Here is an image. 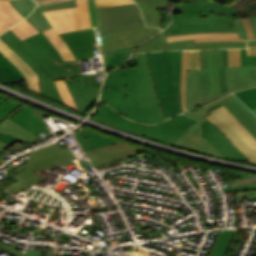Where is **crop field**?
<instances>
[{"mask_svg":"<svg viewBox=\"0 0 256 256\" xmlns=\"http://www.w3.org/2000/svg\"><path fill=\"white\" fill-rule=\"evenodd\" d=\"M104 83L100 99L121 115L149 124L165 120L152 84L147 53L138 54V68L116 69Z\"/></svg>","mask_w":256,"mask_h":256,"instance_id":"obj_1","label":"crop field"},{"mask_svg":"<svg viewBox=\"0 0 256 256\" xmlns=\"http://www.w3.org/2000/svg\"><path fill=\"white\" fill-rule=\"evenodd\" d=\"M237 11L211 0L185 2L173 8V21L165 32L166 35L237 32L232 18Z\"/></svg>","mask_w":256,"mask_h":256,"instance_id":"obj_2","label":"crop field"},{"mask_svg":"<svg viewBox=\"0 0 256 256\" xmlns=\"http://www.w3.org/2000/svg\"><path fill=\"white\" fill-rule=\"evenodd\" d=\"M148 56L153 83L167 119L182 112L180 99L182 51L154 52L148 53Z\"/></svg>","mask_w":256,"mask_h":256,"instance_id":"obj_3","label":"crop field"},{"mask_svg":"<svg viewBox=\"0 0 256 256\" xmlns=\"http://www.w3.org/2000/svg\"><path fill=\"white\" fill-rule=\"evenodd\" d=\"M0 38L18 53L40 77L42 94L64 104L54 81H51L48 75L39 67L49 63L63 61L58 51L52 46L44 34L41 32L21 41L16 34L8 30Z\"/></svg>","mask_w":256,"mask_h":256,"instance_id":"obj_4","label":"crop field"},{"mask_svg":"<svg viewBox=\"0 0 256 256\" xmlns=\"http://www.w3.org/2000/svg\"><path fill=\"white\" fill-rule=\"evenodd\" d=\"M201 71H187L186 107H202L228 95L220 94L218 67H223L222 50H200ZM210 73V75H208Z\"/></svg>","mask_w":256,"mask_h":256,"instance_id":"obj_5","label":"crop field"},{"mask_svg":"<svg viewBox=\"0 0 256 256\" xmlns=\"http://www.w3.org/2000/svg\"><path fill=\"white\" fill-rule=\"evenodd\" d=\"M80 64V61H68L41 68L50 76L51 80L64 79L66 81L80 113L84 115L97 101L102 85V82H93V75L105 76V73L98 71L97 74H82Z\"/></svg>","mask_w":256,"mask_h":256,"instance_id":"obj_6","label":"crop field"},{"mask_svg":"<svg viewBox=\"0 0 256 256\" xmlns=\"http://www.w3.org/2000/svg\"><path fill=\"white\" fill-rule=\"evenodd\" d=\"M95 119L169 145H171L191 124L195 123L191 119L179 114L159 125L150 126L139 124L121 117L107 105L99 107Z\"/></svg>","mask_w":256,"mask_h":256,"instance_id":"obj_7","label":"crop field"},{"mask_svg":"<svg viewBox=\"0 0 256 256\" xmlns=\"http://www.w3.org/2000/svg\"><path fill=\"white\" fill-rule=\"evenodd\" d=\"M205 117L215 124L226 137L256 164V139L241 125V123L222 105Z\"/></svg>","mask_w":256,"mask_h":256,"instance_id":"obj_8","label":"crop field"},{"mask_svg":"<svg viewBox=\"0 0 256 256\" xmlns=\"http://www.w3.org/2000/svg\"><path fill=\"white\" fill-rule=\"evenodd\" d=\"M99 26L97 35L145 27L136 4L97 8Z\"/></svg>","mask_w":256,"mask_h":256,"instance_id":"obj_9","label":"crop field"},{"mask_svg":"<svg viewBox=\"0 0 256 256\" xmlns=\"http://www.w3.org/2000/svg\"><path fill=\"white\" fill-rule=\"evenodd\" d=\"M78 7L44 12L57 33L90 28L87 0H77Z\"/></svg>","mask_w":256,"mask_h":256,"instance_id":"obj_10","label":"crop field"},{"mask_svg":"<svg viewBox=\"0 0 256 256\" xmlns=\"http://www.w3.org/2000/svg\"><path fill=\"white\" fill-rule=\"evenodd\" d=\"M226 75L229 93L256 86V57H247L246 49H241V66L227 67Z\"/></svg>","mask_w":256,"mask_h":256,"instance_id":"obj_11","label":"crop field"},{"mask_svg":"<svg viewBox=\"0 0 256 256\" xmlns=\"http://www.w3.org/2000/svg\"><path fill=\"white\" fill-rule=\"evenodd\" d=\"M158 28H144L108 35L97 36L100 50L137 46L142 41L156 34Z\"/></svg>","mask_w":256,"mask_h":256,"instance_id":"obj_12","label":"crop field"},{"mask_svg":"<svg viewBox=\"0 0 256 256\" xmlns=\"http://www.w3.org/2000/svg\"><path fill=\"white\" fill-rule=\"evenodd\" d=\"M29 154L33 158L28 160L29 162L25 165L19 167L22 170L28 166L36 170L66 160L76 159L69 147L62 149L57 142L34 150Z\"/></svg>","mask_w":256,"mask_h":256,"instance_id":"obj_13","label":"crop field"},{"mask_svg":"<svg viewBox=\"0 0 256 256\" xmlns=\"http://www.w3.org/2000/svg\"><path fill=\"white\" fill-rule=\"evenodd\" d=\"M60 36L76 60L92 58L94 56L93 49H98L94 29L75 31Z\"/></svg>","mask_w":256,"mask_h":256,"instance_id":"obj_14","label":"crop field"},{"mask_svg":"<svg viewBox=\"0 0 256 256\" xmlns=\"http://www.w3.org/2000/svg\"><path fill=\"white\" fill-rule=\"evenodd\" d=\"M172 145L198 153L223 158L219 151L201 136V126L197 123L191 125Z\"/></svg>","mask_w":256,"mask_h":256,"instance_id":"obj_15","label":"crop field"},{"mask_svg":"<svg viewBox=\"0 0 256 256\" xmlns=\"http://www.w3.org/2000/svg\"><path fill=\"white\" fill-rule=\"evenodd\" d=\"M146 150L133 147L124 143L111 145L95 150L85 151L86 156H88L91 161L90 163L96 167L117 159L129 157Z\"/></svg>","mask_w":256,"mask_h":256,"instance_id":"obj_16","label":"crop field"},{"mask_svg":"<svg viewBox=\"0 0 256 256\" xmlns=\"http://www.w3.org/2000/svg\"><path fill=\"white\" fill-rule=\"evenodd\" d=\"M201 125L202 135L220 151L224 158L235 161L247 159V157L241 154L242 152L240 153L225 135L211 122L206 120Z\"/></svg>","mask_w":256,"mask_h":256,"instance_id":"obj_17","label":"crop field"},{"mask_svg":"<svg viewBox=\"0 0 256 256\" xmlns=\"http://www.w3.org/2000/svg\"><path fill=\"white\" fill-rule=\"evenodd\" d=\"M0 52L11 61L27 78L29 89L33 92L39 93V77L35 72L26 64V62L17 55L4 41L0 39Z\"/></svg>","mask_w":256,"mask_h":256,"instance_id":"obj_18","label":"crop field"},{"mask_svg":"<svg viewBox=\"0 0 256 256\" xmlns=\"http://www.w3.org/2000/svg\"><path fill=\"white\" fill-rule=\"evenodd\" d=\"M68 162H72L71 161H67V162H63L60 164H56L50 167H46L40 170H44V169H48V168H52L58 165H62ZM39 171V170H36ZM15 178H17L19 181L13 183L12 185L2 189L4 192L8 193L12 198H17L19 199L20 195H18L17 193L20 192L21 190L27 188L28 186L38 182L41 180V178H39L35 173L34 170H32L31 168H26L25 170L19 172L16 176H14ZM16 179V180H17Z\"/></svg>","mask_w":256,"mask_h":256,"instance_id":"obj_19","label":"crop field"},{"mask_svg":"<svg viewBox=\"0 0 256 256\" xmlns=\"http://www.w3.org/2000/svg\"><path fill=\"white\" fill-rule=\"evenodd\" d=\"M14 122L26 127L29 131L33 132L37 135V137L41 138L38 134L40 132L49 133L50 131L45 127L41 119L38 117L35 118L30 107H26L23 110L19 111L15 116L10 118Z\"/></svg>","mask_w":256,"mask_h":256,"instance_id":"obj_20","label":"crop field"},{"mask_svg":"<svg viewBox=\"0 0 256 256\" xmlns=\"http://www.w3.org/2000/svg\"><path fill=\"white\" fill-rule=\"evenodd\" d=\"M77 6L75 0H69L53 5H48V6H42V7H37L31 15L26 18V20L33 25L39 32L47 30L51 28V25L43 15V11L47 10H53V9H59V8H65V7H73Z\"/></svg>","mask_w":256,"mask_h":256,"instance_id":"obj_21","label":"crop field"},{"mask_svg":"<svg viewBox=\"0 0 256 256\" xmlns=\"http://www.w3.org/2000/svg\"><path fill=\"white\" fill-rule=\"evenodd\" d=\"M167 50L176 49H200V48H228L246 47V42H203L194 43V40L166 43Z\"/></svg>","mask_w":256,"mask_h":256,"instance_id":"obj_22","label":"crop field"},{"mask_svg":"<svg viewBox=\"0 0 256 256\" xmlns=\"http://www.w3.org/2000/svg\"><path fill=\"white\" fill-rule=\"evenodd\" d=\"M27 105H23L15 110L12 114H10L7 118H5L0 123V132L6 135H13L18 139L22 140L25 144L37 139L36 135L30 133L27 129L21 127L20 125L14 123L13 121L9 120L8 118L15 115L20 109L24 108Z\"/></svg>","mask_w":256,"mask_h":256,"instance_id":"obj_23","label":"crop field"},{"mask_svg":"<svg viewBox=\"0 0 256 256\" xmlns=\"http://www.w3.org/2000/svg\"><path fill=\"white\" fill-rule=\"evenodd\" d=\"M185 39H195V42L203 41H246L239 39L237 33H198L189 35H179V36H166V42L185 40Z\"/></svg>","mask_w":256,"mask_h":256,"instance_id":"obj_24","label":"crop field"},{"mask_svg":"<svg viewBox=\"0 0 256 256\" xmlns=\"http://www.w3.org/2000/svg\"><path fill=\"white\" fill-rule=\"evenodd\" d=\"M75 137L81 145L83 151L95 149L111 144H116V141L94 134L92 132L81 129L74 132Z\"/></svg>","mask_w":256,"mask_h":256,"instance_id":"obj_25","label":"crop field"},{"mask_svg":"<svg viewBox=\"0 0 256 256\" xmlns=\"http://www.w3.org/2000/svg\"><path fill=\"white\" fill-rule=\"evenodd\" d=\"M133 49L134 47L102 51L101 54H102L106 73L122 65L128 59Z\"/></svg>","mask_w":256,"mask_h":256,"instance_id":"obj_26","label":"crop field"},{"mask_svg":"<svg viewBox=\"0 0 256 256\" xmlns=\"http://www.w3.org/2000/svg\"><path fill=\"white\" fill-rule=\"evenodd\" d=\"M24 19L9 1H0V34Z\"/></svg>","mask_w":256,"mask_h":256,"instance_id":"obj_27","label":"crop field"},{"mask_svg":"<svg viewBox=\"0 0 256 256\" xmlns=\"http://www.w3.org/2000/svg\"><path fill=\"white\" fill-rule=\"evenodd\" d=\"M237 229L219 230L209 256H224Z\"/></svg>","mask_w":256,"mask_h":256,"instance_id":"obj_28","label":"crop field"},{"mask_svg":"<svg viewBox=\"0 0 256 256\" xmlns=\"http://www.w3.org/2000/svg\"><path fill=\"white\" fill-rule=\"evenodd\" d=\"M256 138V123L242 110V108L233 100L224 105Z\"/></svg>","mask_w":256,"mask_h":256,"instance_id":"obj_29","label":"crop field"},{"mask_svg":"<svg viewBox=\"0 0 256 256\" xmlns=\"http://www.w3.org/2000/svg\"><path fill=\"white\" fill-rule=\"evenodd\" d=\"M134 1L139 5L144 15L146 25L149 27H159L160 17L153 3L150 0H134Z\"/></svg>","mask_w":256,"mask_h":256,"instance_id":"obj_30","label":"crop field"},{"mask_svg":"<svg viewBox=\"0 0 256 256\" xmlns=\"http://www.w3.org/2000/svg\"><path fill=\"white\" fill-rule=\"evenodd\" d=\"M22 77V73L0 53V79L14 83Z\"/></svg>","mask_w":256,"mask_h":256,"instance_id":"obj_31","label":"crop field"},{"mask_svg":"<svg viewBox=\"0 0 256 256\" xmlns=\"http://www.w3.org/2000/svg\"><path fill=\"white\" fill-rule=\"evenodd\" d=\"M235 98L236 97L234 95L230 94V95H228V96H226V97H224L220 100H217L213 103H210V104L202 107L199 110L188 111V112H184L183 114L192 118V119H194V120H196V121H198V122H200V123H202L203 121L206 120L203 117L209 114L207 111L212 110V109H214V108H216V107H218V106H220V105H222V104H224V103H226V102H228L232 99H235Z\"/></svg>","mask_w":256,"mask_h":256,"instance_id":"obj_32","label":"crop field"},{"mask_svg":"<svg viewBox=\"0 0 256 256\" xmlns=\"http://www.w3.org/2000/svg\"><path fill=\"white\" fill-rule=\"evenodd\" d=\"M46 37L52 42L54 47L60 52L64 61L66 60H75L71 51L60 38V36L55 32L53 28L43 32Z\"/></svg>","mask_w":256,"mask_h":256,"instance_id":"obj_33","label":"crop field"},{"mask_svg":"<svg viewBox=\"0 0 256 256\" xmlns=\"http://www.w3.org/2000/svg\"><path fill=\"white\" fill-rule=\"evenodd\" d=\"M157 50H166L164 31L152 37V39H149L144 43H142L140 46L137 47L134 53L157 51Z\"/></svg>","mask_w":256,"mask_h":256,"instance_id":"obj_34","label":"crop field"},{"mask_svg":"<svg viewBox=\"0 0 256 256\" xmlns=\"http://www.w3.org/2000/svg\"><path fill=\"white\" fill-rule=\"evenodd\" d=\"M21 105H23V103L0 95V121Z\"/></svg>","mask_w":256,"mask_h":256,"instance_id":"obj_35","label":"crop field"},{"mask_svg":"<svg viewBox=\"0 0 256 256\" xmlns=\"http://www.w3.org/2000/svg\"><path fill=\"white\" fill-rule=\"evenodd\" d=\"M11 30L16 33L21 38V40L38 33V31L33 26H31L25 19L16 26H14Z\"/></svg>","mask_w":256,"mask_h":256,"instance_id":"obj_36","label":"crop field"},{"mask_svg":"<svg viewBox=\"0 0 256 256\" xmlns=\"http://www.w3.org/2000/svg\"><path fill=\"white\" fill-rule=\"evenodd\" d=\"M251 110L256 108V87L235 93Z\"/></svg>","mask_w":256,"mask_h":256,"instance_id":"obj_37","label":"crop field"},{"mask_svg":"<svg viewBox=\"0 0 256 256\" xmlns=\"http://www.w3.org/2000/svg\"><path fill=\"white\" fill-rule=\"evenodd\" d=\"M18 12L25 18L36 6V3L33 0H13L10 1Z\"/></svg>","mask_w":256,"mask_h":256,"instance_id":"obj_38","label":"crop field"},{"mask_svg":"<svg viewBox=\"0 0 256 256\" xmlns=\"http://www.w3.org/2000/svg\"><path fill=\"white\" fill-rule=\"evenodd\" d=\"M54 81L58 87L59 93H60L63 101L65 102V104L78 111V109H77L68 89H67L65 82L63 80H54Z\"/></svg>","mask_w":256,"mask_h":256,"instance_id":"obj_39","label":"crop field"},{"mask_svg":"<svg viewBox=\"0 0 256 256\" xmlns=\"http://www.w3.org/2000/svg\"><path fill=\"white\" fill-rule=\"evenodd\" d=\"M187 55H188V51H183L182 78H181V98H182L183 111H186V107H185V77H186Z\"/></svg>","mask_w":256,"mask_h":256,"instance_id":"obj_40","label":"crop field"},{"mask_svg":"<svg viewBox=\"0 0 256 256\" xmlns=\"http://www.w3.org/2000/svg\"><path fill=\"white\" fill-rule=\"evenodd\" d=\"M187 70H200L199 50L189 51Z\"/></svg>","mask_w":256,"mask_h":256,"instance_id":"obj_41","label":"crop field"},{"mask_svg":"<svg viewBox=\"0 0 256 256\" xmlns=\"http://www.w3.org/2000/svg\"><path fill=\"white\" fill-rule=\"evenodd\" d=\"M224 68H219L221 92L227 90L225 67L228 66L227 49L223 50Z\"/></svg>","mask_w":256,"mask_h":256,"instance_id":"obj_42","label":"crop field"},{"mask_svg":"<svg viewBox=\"0 0 256 256\" xmlns=\"http://www.w3.org/2000/svg\"><path fill=\"white\" fill-rule=\"evenodd\" d=\"M1 238V236H0ZM18 245V242H16L15 244H13V246L11 248L5 246V245H2L0 244V247L8 250L9 252L15 254L16 256H40L41 252H38V251H29L27 250L25 254L21 253V252H18L15 250V247ZM7 251V252H8Z\"/></svg>","mask_w":256,"mask_h":256,"instance_id":"obj_43","label":"crop field"},{"mask_svg":"<svg viewBox=\"0 0 256 256\" xmlns=\"http://www.w3.org/2000/svg\"><path fill=\"white\" fill-rule=\"evenodd\" d=\"M95 1H96L97 7L135 3L133 0H95Z\"/></svg>","mask_w":256,"mask_h":256,"instance_id":"obj_44","label":"crop field"},{"mask_svg":"<svg viewBox=\"0 0 256 256\" xmlns=\"http://www.w3.org/2000/svg\"><path fill=\"white\" fill-rule=\"evenodd\" d=\"M229 66L240 65V49H228Z\"/></svg>","mask_w":256,"mask_h":256,"instance_id":"obj_45","label":"crop field"},{"mask_svg":"<svg viewBox=\"0 0 256 256\" xmlns=\"http://www.w3.org/2000/svg\"><path fill=\"white\" fill-rule=\"evenodd\" d=\"M152 1L156 5L157 10L163 9V11L166 3H168V0H152ZM169 21H170V15L168 13H165V23L164 25L162 24L163 26L161 28L162 29L165 28L168 25Z\"/></svg>","mask_w":256,"mask_h":256,"instance_id":"obj_46","label":"crop field"},{"mask_svg":"<svg viewBox=\"0 0 256 256\" xmlns=\"http://www.w3.org/2000/svg\"><path fill=\"white\" fill-rule=\"evenodd\" d=\"M88 6H89L92 27H96L98 24V21H97L96 12H95L94 1L88 0Z\"/></svg>","mask_w":256,"mask_h":256,"instance_id":"obj_47","label":"crop field"},{"mask_svg":"<svg viewBox=\"0 0 256 256\" xmlns=\"http://www.w3.org/2000/svg\"><path fill=\"white\" fill-rule=\"evenodd\" d=\"M235 24H236V27H237V31H238L239 37L243 38V39H247L246 31H245V29L243 27V24L241 22V18L240 17L236 18Z\"/></svg>","mask_w":256,"mask_h":256,"instance_id":"obj_48","label":"crop field"},{"mask_svg":"<svg viewBox=\"0 0 256 256\" xmlns=\"http://www.w3.org/2000/svg\"><path fill=\"white\" fill-rule=\"evenodd\" d=\"M242 22H243V24L245 26V29L247 31L248 38L249 39H254L249 18L242 19Z\"/></svg>","mask_w":256,"mask_h":256,"instance_id":"obj_49","label":"crop field"},{"mask_svg":"<svg viewBox=\"0 0 256 256\" xmlns=\"http://www.w3.org/2000/svg\"><path fill=\"white\" fill-rule=\"evenodd\" d=\"M0 140H1V141H4V142H6V143H8V144H10V145L14 144V143L17 142V141L23 143L22 141L16 139L15 137H13V136H11V135H10V136H6V135L1 134V133H0ZM23 144H24V143H23Z\"/></svg>","mask_w":256,"mask_h":256,"instance_id":"obj_50","label":"crop field"},{"mask_svg":"<svg viewBox=\"0 0 256 256\" xmlns=\"http://www.w3.org/2000/svg\"><path fill=\"white\" fill-rule=\"evenodd\" d=\"M243 109L244 111L256 122V116L238 99L235 100Z\"/></svg>","mask_w":256,"mask_h":256,"instance_id":"obj_51","label":"crop field"},{"mask_svg":"<svg viewBox=\"0 0 256 256\" xmlns=\"http://www.w3.org/2000/svg\"><path fill=\"white\" fill-rule=\"evenodd\" d=\"M38 5H47V4H53V3H57V2H61V1H65V0H36Z\"/></svg>","mask_w":256,"mask_h":256,"instance_id":"obj_52","label":"crop field"},{"mask_svg":"<svg viewBox=\"0 0 256 256\" xmlns=\"http://www.w3.org/2000/svg\"><path fill=\"white\" fill-rule=\"evenodd\" d=\"M250 20H251L253 31H254V35H255V38H256V16L251 17Z\"/></svg>","mask_w":256,"mask_h":256,"instance_id":"obj_53","label":"crop field"},{"mask_svg":"<svg viewBox=\"0 0 256 256\" xmlns=\"http://www.w3.org/2000/svg\"><path fill=\"white\" fill-rule=\"evenodd\" d=\"M9 146H10V145H8V144H6V143L0 141V149H1V150L4 151V150L7 149Z\"/></svg>","mask_w":256,"mask_h":256,"instance_id":"obj_54","label":"crop field"},{"mask_svg":"<svg viewBox=\"0 0 256 256\" xmlns=\"http://www.w3.org/2000/svg\"><path fill=\"white\" fill-rule=\"evenodd\" d=\"M248 51H256V46H248Z\"/></svg>","mask_w":256,"mask_h":256,"instance_id":"obj_55","label":"crop field"},{"mask_svg":"<svg viewBox=\"0 0 256 256\" xmlns=\"http://www.w3.org/2000/svg\"><path fill=\"white\" fill-rule=\"evenodd\" d=\"M251 42H253V43H251ZM248 45H256V40H254V41H248Z\"/></svg>","mask_w":256,"mask_h":256,"instance_id":"obj_56","label":"crop field"},{"mask_svg":"<svg viewBox=\"0 0 256 256\" xmlns=\"http://www.w3.org/2000/svg\"><path fill=\"white\" fill-rule=\"evenodd\" d=\"M249 56H256V53H249Z\"/></svg>","mask_w":256,"mask_h":256,"instance_id":"obj_57","label":"crop field"},{"mask_svg":"<svg viewBox=\"0 0 256 256\" xmlns=\"http://www.w3.org/2000/svg\"><path fill=\"white\" fill-rule=\"evenodd\" d=\"M1 152H3V151L0 150V153H1ZM4 162H5V161H3V160L0 159V163H1V164L4 163Z\"/></svg>","mask_w":256,"mask_h":256,"instance_id":"obj_58","label":"crop field"},{"mask_svg":"<svg viewBox=\"0 0 256 256\" xmlns=\"http://www.w3.org/2000/svg\"><path fill=\"white\" fill-rule=\"evenodd\" d=\"M253 112L256 114V109H255V110H253Z\"/></svg>","mask_w":256,"mask_h":256,"instance_id":"obj_59","label":"crop field"}]
</instances>
